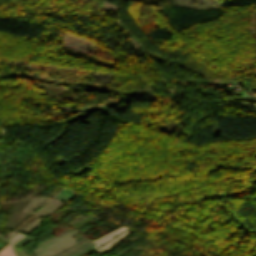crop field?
I'll use <instances>...</instances> for the list:
<instances>
[{"label": "crop field", "instance_id": "obj_1", "mask_svg": "<svg viewBox=\"0 0 256 256\" xmlns=\"http://www.w3.org/2000/svg\"><path fill=\"white\" fill-rule=\"evenodd\" d=\"M0 256H16L10 243L0 250Z\"/></svg>", "mask_w": 256, "mask_h": 256}, {"label": "crop field", "instance_id": "obj_2", "mask_svg": "<svg viewBox=\"0 0 256 256\" xmlns=\"http://www.w3.org/2000/svg\"><path fill=\"white\" fill-rule=\"evenodd\" d=\"M90 216V215H89ZM88 217V216H87ZM86 218V217H85ZM93 217H88V218H86V219H84V220H80L81 222H79V223H77L76 225H74V226H72V227H74V228H79L80 226H82L83 224H85L86 222H88L89 220H91Z\"/></svg>", "mask_w": 256, "mask_h": 256}, {"label": "crop field", "instance_id": "obj_3", "mask_svg": "<svg viewBox=\"0 0 256 256\" xmlns=\"http://www.w3.org/2000/svg\"><path fill=\"white\" fill-rule=\"evenodd\" d=\"M22 236H24V234L18 232L16 235H14L9 241L10 243H14L16 240H18L19 238H21Z\"/></svg>", "mask_w": 256, "mask_h": 256}, {"label": "crop field", "instance_id": "obj_4", "mask_svg": "<svg viewBox=\"0 0 256 256\" xmlns=\"http://www.w3.org/2000/svg\"><path fill=\"white\" fill-rule=\"evenodd\" d=\"M0 242L2 243V244H7L5 241H3L1 238H0Z\"/></svg>", "mask_w": 256, "mask_h": 256}, {"label": "crop field", "instance_id": "obj_5", "mask_svg": "<svg viewBox=\"0 0 256 256\" xmlns=\"http://www.w3.org/2000/svg\"><path fill=\"white\" fill-rule=\"evenodd\" d=\"M94 250V249H93ZM93 250H91V251H93ZM91 251H88V252H86V253H84V254H82V255H80V256H83V255H85V254H87V253H89V252H91Z\"/></svg>", "mask_w": 256, "mask_h": 256}]
</instances>
